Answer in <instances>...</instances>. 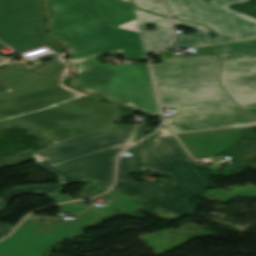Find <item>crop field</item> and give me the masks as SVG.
<instances>
[{
  "mask_svg": "<svg viewBox=\"0 0 256 256\" xmlns=\"http://www.w3.org/2000/svg\"><path fill=\"white\" fill-rule=\"evenodd\" d=\"M73 204H76V205H79V206H82V207H85V208L90 207L89 205L84 204V203H80V202H73Z\"/></svg>",
  "mask_w": 256,
  "mask_h": 256,
  "instance_id": "a9b5d70f",
  "label": "crop field"
},
{
  "mask_svg": "<svg viewBox=\"0 0 256 256\" xmlns=\"http://www.w3.org/2000/svg\"><path fill=\"white\" fill-rule=\"evenodd\" d=\"M146 53H155L172 40L168 18L135 9ZM155 24V31H146L144 25Z\"/></svg>",
  "mask_w": 256,
  "mask_h": 256,
  "instance_id": "22f410ed",
  "label": "crop field"
},
{
  "mask_svg": "<svg viewBox=\"0 0 256 256\" xmlns=\"http://www.w3.org/2000/svg\"><path fill=\"white\" fill-rule=\"evenodd\" d=\"M107 195L113 199L111 204L103 208L93 206L73 221L46 224L25 220L12 236L0 242V256H43L57 241L76 234L78 227L92 224L115 208L132 212L141 207L134 203L136 199L122 194L111 191Z\"/></svg>",
  "mask_w": 256,
  "mask_h": 256,
  "instance_id": "e52e79f7",
  "label": "crop field"
},
{
  "mask_svg": "<svg viewBox=\"0 0 256 256\" xmlns=\"http://www.w3.org/2000/svg\"><path fill=\"white\" fill-rule=\"evenodd\" d=\"M95 6L112 26L128 23L135 19L132 5L118 0H81Z\"/></svg>",
  "mask_w": 256,
  "mask_h": 256,
  "instance_id": "cbeb9de0",
  "label": "crop field"
},
{
  "mask_svg": "<svg viewBox=\"0 0 256 256\" xmlns=\"http://www.w3.org/2000/svg\"><path fill=\"white\" fill-rule=\"evenodd\" d=\"M151 136L154 139L153 146L132 150L140 157L137 170L150 169L152 173L168 175L172 181L163 192L144 201L180 216L196 212L197 206L189 199L202 193L209 186V181L165 124Z\"/></svg>",
  "mask_w": 256,
  "mask_h": 256,
  "instance_id": "412701ff",
  "label": "crop field"
},
{
  "mask_svg": "<svg viewBox=\"0 0 256 256\" xmlns=\"http://www.w3.org/2000/svg\"><path fill=\"white\" fill-rule=\"evenodd\" d=\"M161 61L152 65L156 85L218 81L216 56Z\"/></svg>",
  "mask_w": 256,
  "mask_h": 256,
  "instance_id": "28ad6ade",
  "label": "crop field"
},
{
  "mask_svg": "<svg viewBox=\"0 0 256 256\" xmlns=\"http://www.w3.org/2000/svg\"><path fill=\"white\" fill-rule=\"evenodd\" d=\"M48 198H50V199H52V200H54V201H56L58 203L64 202V201H68V200H73V198H71L70 196L63 195L62 193L50 196Z\"/></svg>",
  "mask_w": 256,
  "mask_h": 256,
  "instance_id": "92a150f3",
  "label": "crop field"
},
{
  "mask_svg": "<svg viewBox=\"0 0 256 256\" xmlns=\"http://www.w3.org/2000/svg\"><path fill=\"white\" fill-rule=\"evenodd\" d=\"M86 186H88V187H90V188H93V189H96V190L101 191V192H104V191L107 190V188L102 187V186H100V185H97V184H95V183H91V184L86 185Z\"/></svg>",
  "mask_w": 256,
  "mask_h": 256,
  "instance_id": "00972430",
  "label": "crop field"
},
{
  "mask_svg": "<svg viewBox=\"0 0 256 256\" xmlns=\"http://www.w3.org/2000/svg\"><path fill=\"white\" fill-rule=\"evenodd\" d=\"M123 1L129 2V3H132V2H131V0H123Z\"/></svg>",
  "mask_w": 256,
  "mask_h": 256,
  "instance_id": "730fd06b",
  "label": "crop field"
},
{
  "mask_svg": "<svg viewBox=\"0 0 256 256\" xmlns=\"http://www.w3.org/2000/svg\"><path fill=\"white\" fill-rule=\"evenodd\" d=\"M162 107H174L166 118L175 133L256 124L221 89L218 82L157 86ZM188 89H193L188 92Z\"/></svg>",
  "mask_w": 256,
  "mask_h": 256,
  "instance_id": "f4fd0767",
  "label": "crop field"
},
{
  "mask_svg": "<svg viewBox=\"0 0 256 256\" xmlns=\"http://www.w3.org/2000/svg\"><path fill=\"white\" fill-rule=\"evenodd\" d=\"M72 84L85 92L101 94L106 100L157 115L159 113L147 64L119 66L101 64L96 58L73 61Z\"/></svg>",
  "mask_w": 256,
  "mask_h": 256,
  "instance_id": "dd49c442",
  "label": "crop field"
},
{
  "mask_svg": "<svg viewBox=\"0 0 256 256\" xmlns=\"http://www.w3.org/2000/svg\"><path fill=\"white\" fill-rule=\"evenodd\" d=\"M3 47H5V45L0 43V49L3 48Z\"/></svg>",
  "mask_w": 256,
  "mask_h": 256,
  "instance_id": "4177f3b9",
  "label": "crop field"
},
{
  "mask_svg": "<svg viewBox=\"0 0 256 256\" xmlns=\"http://www.w3.org/2000/svg\"><path fill=\"white\" fill-rule=\"evenodd\" d=\"M15 226L0 223V238L6 236Z\"/></svg>",
  "mask_w": 256,
  "mask_h": 256,
  "instance_id": "214f88e0",
  "label": "crop field"
},
{
  "mask_svg": "<svg viewBox=\"0 0 256 256\" xmlns=\"http://www.w3.org/2000/svg\"><path fill=\"white\" fill-rule=\"evenodd\" d=\"M154 1H157V3H154ZM132 2L135 7L148 10L157 15L167 16V12L165 13L166 10L164 11L165 8L163 9L160 0H132Z\"/></svg>",
  "mask_w": 256,
  "mask_h": 256,
  "instance_id": "733c2abd",
  "label": "crop field"
},
{
  "mask_svg": "<svg viewBox=\"0 0 256 256\" xmlns=\"http://www.w3.org/2000/svg\"><path fill=\"white\" fill-rule=\"evenodd\" d=\"M61 210L70 213V214H77L83 210H86L85 208L70 204V203H65L63 205L58 206Z\"/></svg>",
  "mask_w": 256,
  "mask_h": 256,
  "instance_id": "bc2a9ffb",
  "label": "crop field"
},
{
  "mask_svg": "<svg viewBox=\"0 0 256 256\" xmlns=\"http://www.w3.org/2000/svg\"><path fill=\"white\" fill-rule=\"evenodd\" d=\"M173 21L176 25L194 29L195 34L177 35V39L175 43L165 50L193 47V46H199V45H205V44L211 43L209 28L202 25H198V24H194V23H190V22H186V21H182L174 18H173Z\"/></svg>",
  "mask_w": 256,
  "mask_h": 256,
  "instance_id": "5142ce71",
  "label": "crop field"
},
{
  "mask_svg": "<svg viewBox=\"0 0 256 256\" xmlns=\"http://www.w3.org/2000/svg\"><path fill=\"white\" fill-rule=\"evenodd\" d=\"M57 106H61V107L67 108V109H71V110H74V111L87 113V114H90L92 112V111H87V110H80V109H77L76 107L65 106V105H61V104H57Z\"/></svg>",
  "mask_w": 256,
  "mask_h": 256,
  "instance_id": "dafd665d",
  "label": "crop field"
},
{
  "mask_svg": "<svg viewBox=\"0 0 256 256\" xmlns=\"http://www.w3.org/2000/svg\"><path fill=\"white\" fill-rule=\"evenodd\" d=\"M215 46L224 89L242 109L256 118V39Z\"/></svg>",
  "mask_w": 256,
  "mask_h": 256,
  "instance_id": "5a996713",
  "label": "crop field"
},
{
  "mask_svg": "<svg viewBox=\"0 0 256 256\" xmlns=\"http://www.w3.org/2000/svg\"><path fill=\"white\" fill-rule=\"evenodd\" d=\"M193 158L220 155L242 136L238 129L177 135ZM189 153V154H190Z\"/></svg>",
  "mask_w": 256,
  "mask_h": 256,
  "instance_id": "d1516ede",
  "label": "crop field"
},
{
  "mask_svg": "<svg viewBox=\"0 0 256 256\" xmlns=\"http://www.w3.org/2000/svg\"><path fill=\"white\" fill-rule=\"evenodd\" d=\"M163 185L164 184L134 182L133 180L117 178V184L113 191L142 200L144 195L160 190Z\"/></svg>",
  "mask_w": 256,
  "mask_h": 256,
  "instance_id": "d9b57169",
  "label": "crop field"
},
{
  "mask_svg": "<svg viewBox=\"0 0 256 256\" xmlns=\"http://www.w3.org/2000/svg\"><path fill=\"white\" fill-rule=\"evenodd\" d=\"M40 0H0V40L19 52L48 45L62 49L42 30Z\"/></svg>",
  "mask_w": 256,
  "mask_h": 256,
  "instance_id": "3316defc",
  "label": "crop field"
},
{
  "mask_svg": "<svg viewBox=\"0 0 256 256\" xmlns=\"http://www.w3.org/2000/svg\"><path fill=\"white\" fill-rule=\"evenodd\" d=\"M136 125H114L78 138L32 151L38 164L60 178L58 184L14 187L0 196V210L17 194L58 193L63 186L92 181L107 188L113 182L117 155L130 145ZM68 142L72 144L67 145Z\"/></svg>",
  "mask_w": 256,
  "mask_h": 256,
  "instance_id": "ac0d7876",
  "label": "crop field"
},
{
  "mask_svg": "<svg viewBox=\"0 0 256 256\" xmlns=\"http://www.w3.org/2000/svg\"><path fill=\"white\" fill-rule=\"evenodd\" d=\"M51 34L73 59L119 50L128 58L145 56L140 32L113 28L90 4L77 0H45Z\"/></svg>",
  "mask_w": 256,
  "mask_h": 256,
  "instance_id": "34b2d1b8",
  "label": "crop field"
},
{
  "mask_svg": "<svg viewBox=\"0 0 256 256\" xmlns=\"http://www.w3.org/2000/svg\"><path fill=\"white\" fill-rule=\"evenodd\" d=\"M174 18L213 29L214 43L256 37V20L233 11L228 5L247 0H165ZM185 3L188 6L183 7Z\"/></svg>",
  "mask_w": 256,
  "mask_h": 256,
  "instance_id": "d8731c3e",
  "label": "crop field"
},
{
  "mask_svg": "<svg viewBox=\"0 0 256 256\" xmlns=\"http://www.w3.org/2000/svg\"><path fill=\"white\" fill-rule=\"evenodd\" d=\"M135 163V156L120 157L118 162V175L129 178V173L133 172V165Z\"/></svg>",
  "mask_w": 256,
  "mask_h": 256,
  "instance_id": "4a817a6b",
  "label": "crop field"
},
{
  "mask_svg": "<svg viewBox=\"0 0 256 256\" xmlns=\"http://www.w3.org/2000/svg\"><path fill=\"white\" fill-rule=\"evenodd\" d=\"M61 61L33 69L15 65L0 70V128L21 124L39 129L55 141L78 137L115 122V104H98V96L80 95L59 84ZM57 103L92 110L90 115L70 111Z\"/></svg>",
  "mask_w": 256,
  "mask_h": 256,
  "instance_id": "8a807250",
  "label": "crop field"
}]
</instances>
